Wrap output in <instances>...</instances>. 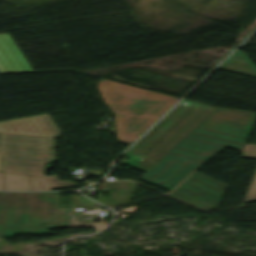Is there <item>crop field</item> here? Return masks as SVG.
I'll return each mask as SVG.
<instances>
[{"label":"crop field","mask_w":256,"mask_h":256,"mask_svg":"<svg viewBox=\"0 0 256 256\" xmlns=\"http://www.w3.org/2000/svg\"><path fill=\"white\" fill-rule=\"evenodd\" d=\"M24 71H32V69L9 35L0 34V72Z\"/></svg>","instance_id":"obj_9"},{"label":"crop field","mask_w":256,"mask_h":256,"mask_svg":"<svg viewBox=\"0 0 256 256\" xmlns=\"http://www.w3.org/2000/svg\"><path fill=\"white\" fill-rule=\"evenodd\" d=\"M218 68L256 77V66L240 50H237Z\"/></svg>","instance_id":"obj_10"},{"label":"crop field","mask_w":256,"mask_h":256,"mask_svg":"<svg viewBox=\"0 0 256 256\" xmlns=\"http://www.w3.org/2000/svg\"><path fill=\"white\" fill-rule=\"evenodd\" d=\"M4 172L29 175L31 190L70 187V181L46 176L45 165L56 162L53 138L0 133Z\"/></svg>","instance_id":"obj_4"},{"label":"crop field","mask_w":256,"mask_h":256,"mask_svg":"<svg viewBox=\"0 0 256 256\" xmlns=\"http://www.w3.org/2000/svg\"><path fill=\"white\" fill-rule=\"evenodd\" d=\"M213 109L183 99L125 153L129 167L146 171Z\"/></svg>","instance_id":"obj_3"},{"label":"crop field","mask_w":256,"mask_h":256,"mask_svg":"<svg viewBox=\"0 0 256 256\" xmlns=\"http://www.w3.org/2000/svg\"><path fill=\"white\" fill-rule=\"evenodd\" d=\"M0 132L46 137L60 136L48 113L0 121Z\"/></svg>","instance_id":"obj_8"},{"label":"crop field","mask_w":256,"mask_h":256,"mask_svg":"<svg viewBox=\"0 0 256 256\" xmlns=\"http://www.w3.org/2000/svg\"><path fill=\"white\" fill-rule=\"evenodd\" d=\"M98 88L115 115L120 142L132 143L179 98L101 78Z\"/></svg>","instance_id":"obj_2"},{"label":"crop field","mask_w":256,"mask_h":256,"mask_svg":"<svg viewBox=\"0 0 256 256\" xmlns=\"http://www.w3.org/2000/svg\"><path fill=\"white\" fill-rule=\"evenodd\" d=\"M225 187V185L195 172L170 196L203 210H210L218 207Z\"/></svg>","instance_id":"obj_7"},{"label":"crop field","mask_w":256,"mask_h":256,"mask_svg":"<svg viewBox=\"0 0 256 256\" xmlns=\"http://www.w3.org/2000/svg\"><path fill=\"white\" fill-rule=\"evenodd\" d=\"M255 119V112L215 108L186 136L242 151Z\"/></svg>","instance_id":"obj_6"},{"label":"crop field","mask_w":256,"mask_h":256,"mask_svg":"<svg viewBox=\"0 0 256 256\" xmlns=\"http://www.w3.org/2000/svg\"><path fill=\"white\" fill-rule=\"evenodd\" d=\"M6 190H30L28 176L4 173Z\"/></svg>","instance_id":"obj_11"},{"label":"crop field","mask_w":256,"mask_h":256,"mask_svg":"<svg viewBox=\"0 0 256 256\" xmlns=\"http://www.w3.org/2000/svg\"><path fill=\"white\" fill-rule=\"evenodd\" d=\"M0 190H4L3 183H2L1 173H0Z\"/></svg>","instance_id":"obj_12"},{"label":"crop field","mask_w":256,"mask_h":256,"mask_svg":"<svg viewBox=\"0 0 256 256\" xmlns=\"http://www.w3.org/2000/svg\"><path fill=\"white\" fill-rule=\"evenodd\" d=\"M222 146L184 137L139 179L171 190Z\"/></svg>","instance_id":"obj_5"},{"label":"crop field","mask_w":256,"mask_h":256,"mask_svg":"<svg viewBox=\"0 0 256 256\" xmlns=\"http://www.w3.org/2000/svg\"><path fill=\"white\" fill-rule=\"evenodd\" d=\"M42 221L47 224L40 226ZM93 227L73 209H58V192H0V237L47 233V228Z\"/></svg>","instance_id":"obj_1"},{"label":"crop field","mask_w":256,"mask_h":256,"mask_svg":"<svg viewBox=\"0 0 256 256\" xmlns=\"http://www.w3.org/2000/svg\"><path fill=\"white\" fill-rule=\"evenodd\" d=\"M0 171H1V168H0Z\"/></svg>","instance_id":"obj_13"}]
</instances>
